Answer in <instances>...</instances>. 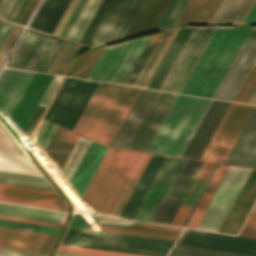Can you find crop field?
<instances>
[{
	"label": "crop field",
	"instance_id": "crop-field-71",
	"mask_svg": "<svg viewBox=\"0 0 256 256\" xmlns=\"http://www.w3.org/2000/svg\"><path fill=\"white\" fill-rule=\"evenodd\" d=\"M168 256H178V255H172V254H168Z\"/></svg>",
	"mask_w": 256,
	"mask_h": 256
},
{
	"label": "crop field",
	"instance_id": "crop-field-18",
	"mask_svg": "<svg viewBox=\"0 0 256 256\" xmlns=\"http://www.w3.org/2000/svg\"><path fill=\"white\" fill-rule=\"evenodd\" d=\"M230 103L213 100L182 157L199 160Z\"/></svg>",
	"mask_w": 256,
	"mask_h": 256
},
{
	"label": "crop field",
	"instance_id": "crop-field-60",
	"mask_svg": "<svg viewBox=\"0 0 256 256\" xmlns=\"http://www.w3.org/2000/svg\"><path fill=\"white\" fill-rule=\"evenodd\" d=\"M0 256H47V255L0 248Z\"/></svg>",
	"mask_w": 256,
	"mask_h": 256
},
{
	"label": "crop field",
	"instance_id": "crop-field-6",
	"mask_svg": "<svg viewBox=\"0 0 256 256\" xmlns=\"http://www.w3.org/2000/svg\"><path fill=\"white\" fill-rule=\"evenodd\" d=\"M145 0H102L79 43L89 47L121 39Z\"/></svg>",
	"mask_w": 256,
	"mask_h": 256
},
{
	"label": "crop field",
	"instance_id": "crop-field-16",
	"mask_svg": "<svg viewBox=\"0 0 256 256\" xmlns=\"http://www.w3.org/2000/svg\"><path fill=\"white\" fill-rule=\"evenodd\" d=\"M73 227L112 231L113 227L142 230L143 224L74 215ZM113 232L176 240L183 228L144 224L143 231L118 229Z\"/></svg>",
	"mask_w": 256,
	"mask_h": 256
},
{
	"label": "crop field",
	"instance_id": "crop-field-43",
	"mask_svg": "<svg viewBox=\"0 0 256 256\" xmlns=\"http://www.w3.org/2000/svg\"><path fill=\"white\" fill-rule=\"evenodd\" d=\"M62 79H63V77L55 76L53 82L51 83L48 91L46 92V94H45L44 98L42 99L39 106H42V107H45V108L48 107V105H49L52 97L54 96L57 88L59 87ZM39 106H38L37 110L35 111L33 117L31 118L29 124L27 125L25 131L23 132L24 135L27 137V139L30 136V134L32 133L33 129L35 128V126L39 122L42 114L45 111V108H42V107H39Z\"/></svg>",
	"mask_w": 256,
	"mask_h": 256
},
{
	"label": "crop field",
	"instance_id": "crop-field-21",
	"mask_svg": "<svg viewBox=\"0 0 256 256\" xmlns=\"http://www.w3.org/2000/svg\"><path fill=\"white\" fill-rule=\"evenodd\" d=\"M57 236L0 227V247L48 254Z\"/></svg>",
	"mask_w": 256,
	"mask_h": 256
},
{
	"label": "crop field",
	"instance_id": "crop-field-20",
	"mask_svg": "<svg viewBox=\"0 0 256 256\" xmlns=\"http://www.w3.org/2000/svg\"><path fill=\"white\" fill-rule=\"evenodd\" d=\"M54 76L34 73L11 113L13 120L24 130L36 106L40 103Z\"/></svg>",
	"mask_w": 256,
	"mask_h": 256
},
{
	"label": "crop field",
	"instance_id": "crop-field-48",
	"mask_svg": "<svg viewBox=\"0 0 256 256\" xmlns=\"http://www.w3.org/2000/svg\"><path fill=\"white\" fill-rule=\"evenodd\" d=\"M255 89H256V63L254 64L249 75L247 76L245 82L243 83L238 94L236 95L234 101L248 103Z\"/></svg>",
	"mask_w": 256,
	"mask_h": 256
},
{
	"label": "crop field",
	"instance_id": "crop-field-58",
	"mask_svg": "<svg viewBox=\"0 0 256 256\" xmlns=\"http://www.w3.org/2000/svg\"><path fill=\"white\" fill-rule=\"evenodd\" d=\"M0 151L18 154L15 151L9 136L4 131L1 125H0Z\"/></svg>",
	"mask_w": 256,
	"mask_h": 256
},
{
	"label": "crop field",
	"instance_id": "crop-field-35",
	"mask_svg": "<svg viewBox=\"0 0 256 256\" xmlns=\"http://www.w3.org/2000/svg\"><path fill=\"white\" fill-rule=\"evenodd\" d=\"M0 215L62 224L66 213L0 203Z\"/></svg>",
	"mask_w": 256,
	"mask_h": 256
},
{
	"label": "crop field",
	"instance_id": "crop-field-1",
	"mask_svg": "<svg viewBox=\"0 0 256 256\" xmlns=\"http://www.w3.org/2000/svg\"><path fill=\"white\" fill-rule=\"evenodd\" d=\"M140 90L99 83L73 132L110 146Z\"/></svg>",
	"mask_w": 256,
	"mask_h": 256
},
{
	"label": "crop field",
	"instance_id": "crop-field-25",
	"mask_svg": "<svg viewBox=\"0 0 256 256\" xmlns=\"http://www.w3.org/2000/svg\"><path fill=\"white\" fill-rule=\"evenodd\" d=\"M33 73L5 68L0 76V112L7 119Z\"/></svg>",
	"mask_w": 256,
	"mask_h": 256
},
{
	"label": "crop field",
	"instance_id": "crop-field-67",
	"mask_svg": "<svg viewBox=\"0 0 256 256\" xmlns=\"http://www.w3.org/2000/svg\"><path fill=\"white\" fill-rule=\"evenodd\" d=\"M249 103L250 104H256V90H255L253 96L251 97Z\"/></svg>",
	"mask_w": 256,
	"mask_h": 256
},
{
	"label": "crop field",
	"instance_id": "crop-field-12",
	"mask_svg": "<svg viewBox=\"0 0 256 256\" xmlns=\"http://www.w3.org/2000/svg\"><path fill=\"white\" fill-rule=\"evenodd\" d=\"M253 109L231 103L200 160L223 163Z\"/></svg>",
	"mask_w": 256,
	"mask_h": 256
},
{
	"label": "crop field",
	"instance_id": "crop-field-23",
	"mask_svg": "<svg viewBox=\"0 0 256 256\" xmlns=\"http://www.w3.org/2000/svg\"><path fill=\"white\" fill-rule=\"evenodd\" d=\"M224 163L256 168V107Z\"/></svg>",
	"mask_w": 256,
	"mask_h": 256
},
{
	"label": "crop field",
	"instance_id": "crop-field-72",
	"mask_svg": "<svg viewBox=\"0 0 256 256\" xmlns=\"http://www.w3.org/2000/svg\"><path fill=\"white\" fill-rule=\"evenodd\" d=\"M73 228V227H72ZM157 239V238H156ZM165 240V239H164ZM173 241V240H172Z\"/></svg>",
	"mask_w": 256,
	"mask_h": 256
},
{
	"label": "crop field",
	"instance_id": "crop-field-66",
	"mask_svg": "<svg viewBox=\"0 0 256 256\" xmlns=\"http://www.w3.org/2000/svg\"><path fill=\"white\" fill-rule=\"evenodd\" d=\"M244 23H256V3L245 19Z\"/></svg>",
	"mask_w": 256,
	"mask_h": 256
},
{
	"label": "crop field",
	"instance_id": "crop-field-32",
	"mask_svg": "<svg viewBox=\"0 0 256 256\" xmlns=\"http://www.w3.org/2000/svg\"><path fill=\"white\" fill-rule=\"evenodd\" d=\"M193 27H183L180 28L178 34L176 35L174 41L172 42L170 48L168 49L166 55L164 56L163 60L161 61L159 67L157 68L155 74L153 75L151 81L149 82L147 88L158 90L160 84L162 83L163 79L165 78L167 72L169 71L171 65L173 64L175 58L177 57L178 53L180 52L182 46L184 45L186 39L188 38L189 34L191 33ZM146 88V87H145Z\"/></svg>",
	"mask_w": 256,
	"mask_h": 256
},
{
	"label": "crop field",
	"instance_id": "crop-field-47",
	"mask_svg": "<svg viewBox=\"0 0 256 256\" xmlns=\"http://www.w3.org/2000/svg\"><path fill=\"white\" fill-rule=\"evenodd\" d=\"M58 252L68 253V254H76V255H84V256H144V255H136V254H128V253L64 246V245L60 246Z\"/></svg>",
	"mask_w": 256,
	"mask_h": 256
},
{
	"label": "crop field",
	"instance_id": "crop-field-24",
	"mask_svg": "<svg viewBox=\"0 0 256 256\" xmlns=\"http://www.w3.org/2000/svg\"><path fill=\"white\" fill-rule=\"evenodd\" d=\"M256 199V170H252L219 232L235 235Z\"/></svg>",
	"mask_w": 256,
	"mask_h": 256
},
{
	"label": "crop field",
	"instance_id": "crop-field-17",
	"mask_svg": "<svg viewBox=\"0 0 256 256\" xmlns=\"http://www.w3.org/2000/svg\"><path fill=\"white\" fill-rule=\"evenodd\" d=\"M177 243L256 255V240L185 229Z\"/></svg>",
	"mask_w": 256,
	"mask_h": 256
},
{
	"label": "crop field",
	"instance_id": "crop-field-45",
	"mask_svg": "<svg viewBox=\"0 0 256 256\" xmlns=\"http://www.w3.org/2000/svg\"><path fill=\"white\" fill-rule=\"evenodd\" d=\"M100 2H101V0H90L89 1L87 7L85 8L84 12L82 13L81 17L79 18L78 22L76 23L71 34L69 35V37H68L69 40L78 42L80 36L82 35L83 31L85 30L87 24L89 23L90 19L92 18L93 14L96 11L97 7L99 6Z\"/></svg>",
	"mask_w": 256,
	"mask_h": 256
},
{
	"label": "crop field",
	"instance_id": "crop-field-36",
	"mask_svg": "<svg viewBox=\"0 0 256 256\" xmlns=\"http://www.w3.org/2000/svg\"><path fill=\"white\" fill-rule=\"evenodd\" d=\"M256 0H224L211 23H243Z\"/></svg>",
	"mask_w": 256,
	"mask_h": 256
},
{
	"label": "crop field",
	"instance_id": "crop-field-5",
	"mask_svg": "<svg viewBox=\"0 0 256 256\" xmlns=\"http://www.w3.org/2000/svg\"><path fill=\"white\" fill-rule=\"evenodd\" d=\"M162 159L163 157L161 156L152 155L119 218L131 220L134 212L136 211L148 187L159 170L132 218V220L135 221L149 222L153 212L155 211L159 201L161 200L165 190L167 189L182 161V159L179 158L164 157L163 161Z\"/></svg>",
	"mask_w": 256,
	"mask_h": 256
},
{
	"label": "crop field",
	"instance_id": "crop-field-22",
	"mask_svg": "<svg viewBox=\"0 0 256 256\" xmlns=\"http://www.w3.org/2000/svg\"><path fill=\"white\" fill-rule=\"evenodd\" d=\"M78 135L57 127L40 163L55 181Z\"/></svg>",
	"mask_w": 256,
	"mask_h": 256
},
{
	"label": "crop field",
	"instance_id": "crop-field-68",
	"mask_svg": "<svg viewBox=\"0 0 256 256\" xmlns=\"http://www.w3.org/2000/svg\"><path fill=\"white\" fill-rule=\"evenodd\" d=\"M56 256H76V255H68V254H60V253H57Z\"/></svg>",
	"mask_w": 256,
	"mask_h": 256
},
{
	"label": "crop field",
	"instance_id": "crop-field-61",
	"mask_svg": "<svg viewBox=\"0 0 256 256\" xmlns=\"http://www.w3.org/2000/svg\"><path fill=\"white\" fill-rule=\"evenodd\" d=\"M0 219H6V220H12V221H18V222H25V223H31V224H38V225H44V226H51V227H57V228L61 227V225H59V224L39 222V221L13 218V217H6V216H0Z\"/></svg>",
	"mask_w": 256,
	"mask_h": 256
},
{
	"label": "crop field",
	"instance_id": "crop-field-51",
	"mask_svg": "<svg viewBox=\"0 0 256 256\" xmlns=\"http://www.w3.org/2000/svg\"><path fill=\"white\" fill-rule=\"evenodd\" d=\"M88 1L89 0H80L79 1L78 5L74 9L70 18L68 19L67 23L65 24L62 31L60 32L59 37L67 39L68 35L70 34L72 28L74 27L75 23L77 22L78 18L80 17L81 13L83 12Z\"/></svg>",
	"mask_w": 256,
	"mask_h": 256
},
{
	"label": "crop field",
	"instance_id": "crop-field-15",
	"mask_svg": "<svg viewBox=\"0 0 256 256\" xmlns=\"http://www.w3.org/2000/svg\"><path fill=\"white\" fill-rule=\"evenodd\" d=\"M256 61V27H252L213 98L233 101Z\"/></svg>",
	"mask_w": 256,
	"mask_h": 256
},
{
	"label": "crop field",
	"instance_id": "crop-field-28",
	"mask_svg": "<svg viewBox=\"0 0 256 256\" xmlns=\"http://www.w3.org/2000/svg\"><path fill=\"white\" fill-rule=\"evenodd\" d=\"M172 0H146L124 37L155 29Z\"/></svg>",
	"mask_w": 256,
	"mask_h": 256
},
{
	"label": "crop field",
	"instance_id": "crop-field-65",
	"mask_svg": "<svg viewBox=\"0 0 256 256\" xmlns=\"http://www.w3.org/2000/svg\"><path fill=\"white\" fill-rule=\"evenodd\" d=\"M11 26H12L11 23L4 22L2 28L0 29V45L3 42L8 31L10 30Z\"/></svg>",
	"mask_w": 256,
	"mask_h": 256
},
{
	"label": "crop field",
	"instance_id": "crop-field-8",
	"mask_svg": "<svg viewBox=\"0 0 256 256\" xmlns=\"http://www.w3.org/2000/svg\"><path fill=\"white\" fill-rule=\"evenodd\" d=\"M0 181L54 190L40 177L0 171ZM5 184H0V201L66 211L65 203L56 192Z\"/></svg>",
	"mask_w": 256,
	"mask_h": 256
},
{
	"label": "crop field",
	"instance_id": "crop-field-19",
	"mask_svg": "<svg viewBox=\"0 0 256 256\" xmlns=\"http://www.w3.org/2000/svg\"><path fill=\"white\" fill-rule=\"evenodd\" d=\"M176 95L159 92L128 149L145 152Z\"/></svg>",
	"mask_w": 256,
	"mask_h": 256
},
{
	"label": "crop field",
	"instance_id": "crop-field-62",
	"mask_svg": "<svg viewBox=\"0 0 256 256\" xmlns=\"http://www.w3.org/2000/svg\"><path fill=\"white\" fill-rule=\"evenodd\" d=\"M38 0H31L27 9L25 10L23 16L21 17L20 21H19V24L21 25H25V23L27 22V20L29 19L36 3H37ZM39 2V1H38Z\"/></svg>",
	"mask_w": 256,
	"mask_h": 256
},
{
	"label": "crop field",
	"instance_id": "crop-field-44",
	"mask_svg": "<svg viewBox=\"0 0 256 256\" xmlns=\"http://www.w3.org/2000/svg\"><path fill=\"white\" fill-rule=\"evenodd\" d=\"M170 253L184 255V256H250V255L204 249V248L185 246V245H179V244H175V246L170 251Z\"/></svg>",
	"mask_w": 256,
	"mask_h": 256
},
{
	"label": "crop field",
	"instance_id": "crop-field-31",
	"mask_svg": "<svg viewBox=\"0 0 256 256\" xmlns=\"http://www.w3.org/2000/svg\"><path fill=\"white\" fill-rule=\"evenodd\" d=\"M151 35L131 40L108 82L124 84Z\"/></svg>",
	"mask_w": 256,
	"mask_h": 256
},
{
	"label": "crop field",
	"instance_id": "crop-field-49",
	"mask_svg": "<svg viewBox=\"0 0 256 256\" xmlns=\"http://www.w3.org/2000/svg\"><path fill=\"white\" fill-rule=\"evenodd\" d=\"M189 0H174L158 28L174 25Z\"/></svg>",
	"mask_w": 256,
	"mask_h": 256
},
{
	"label": "crop field",
	"instance_id": "crop-field-10",
	"mask_svg": "<svg viewBox=\"0 0 256 256\" xmlns=\"http://www.w3.org/2000/svg\"><path fill=\"white\" fill-rule=\"evenodd\" d=\"M217 27H194L159 90L180 93Z\"/></svg>",
	"mask_w": 256,
	"mask_h": 256
},
{
	"label": "crop field",
	"instance_id": "crop-field-2",
	"mask_svg": "<svg viewBox=\"0 0 256 256\" xmlns=\"http://www.w3.org/2000/svg\"><path fill=\"white\" fill-rule=\"evenodd\" d=\"M251 27H218L181 93L212 98Z\"/></svg>",
	"mask_w": 256,
	"mask_h": 256
},
{
	"label": "crop field",
	"instance_id": "crop-field-11",
	"mask_svg": "<svg viewBox=\"0 0 256 256\" xmlns=\"http://www.w3.org/2000/svg\"><path fill=\"white\" fill-rule=\"evenodd\" d=\"M250 172V169L229 167L197 228L218 232Z\"/></svg>",
	"mask_w": 256,
	"mask_h": 256
},
{
	"label": "crop field",
	"instance_id": "crop-field-37",
	"mask_svg": "<svg viewBox=\"0 0 256 256\" xmlns=\"http://www.w3.org/2000/svg\"><path fill=\"white\" fill-rule=\"evenodd\" d=\"M227 168H228V166L218 165V167H217L213 177L211 178L206 190L204 191V193H203L200 201L198 202L193 214L191 215L186 227L196 228L201 216L203 215L208 203L210 202L214 192L216 191V189H217L221 179L223 178Z\"/></svg>",
	"mask_w": 256,
	"mask_h": 256
},
{
	"label": "crop field",
	"instance_id": "crop-field-39",
	"mask_svg": "<svg viewBox=\"0 0 256 256\" xmlns=\"http://www.w3.org/2000/svg\"><path fill=\"white\" fill-rule=\"evenodd\" d=\"M0 170L41 176L27 156L0 152Z\"/></svg>",
	"mask_w": 256,
	"mask_h": 256
},
{
	"label": "crop field",
	"instance_id": "crop-field-9",
	"mask_svg": "<svg viewBox=\"0 0 256 256\" xmlns=\"http://www.w3.org/2000/svg\"><path fill=\"white\" fill-rule=\"evenodd\" d=\"M98 83L67 78L45 120L72 131Z\"/></svg>",
	"mask_w": 256,
	"mask_h": 256
},
{
	"label": "crop field",
	"instance_id": "crop-field-3",
	"mask_svg": "<svg viewBox=\"0 0 256 256\" xmlns=\"http://www.w3.org/2000/svg\"><path fill=\"white\" fill-rule=\"evenodd\" d=\"M140 155L109 149L76 213L108 217Z\"/></svg>",
	"mask_w": 256,
	"mask_h": 256
},
{
	"label": "crop field",
	"instance_id": "crop-field-33",
	"mask_svg": "<svg viewBox=\"0 0 256 256\" xmlns=\"http://www.w3.org/2000/svg\"><path fill=\"white\" fill-rule=\"evenodd\" d=\"M130 41L105 47L88 79L107 82Z\"/></svg>",
	"mask_w": 256,
	"mask_h": 256
},
{
	"label": "crop field",
	"instance_id": "crop-field-42",
	"mask_svg": "<svg viewBox=\"0 0 256 256\" xmlns=\"http://www.w3.org/2000/svg\"><path fill=\"white\" fill-rule=\"evenodd\" d=\"M90 140L79 136L74 148L72 149L67 161L65 162L60 176L68 184L72 174L74 173L78 163L80 162L84 152L86 151Z\"/></svg>",
	"mask_w": 256,
	"mask_h": 256
},
{
	"label": "crop field",
	"instance_id": "crop-field-55",
	"mask_svg": "<svg viewBox=\"0 0 256 256\" xmlns=\"http://www.w3.org/2000/svg\"><path fill=\"white\" fill-rule=\"evenodd\" d=\"M150 157H151V155H150V154H147V156H146V158H145L143 164L141 165V167H140L138 173L136 174V176H135V178H134L132 184L130 185V187H129L127 193H126V195L124 196V198H123L121 204L119 205V207H118V209H117V211H116V213H115L116 216H119V214H120V212H121L123 206L125 205V203H126L128 197L130 196V194H131V192H132L134 186L136 185V183H137V181H138L140 175L142 174V172H143L145 166L147 165V163H148Z\"/></svg>",
	"mask_w": 256,
	"mask_h": 256
},
{
	"label": "crop field",
	"instance_id": "crop-field-69",
	"mask_svg": "<svg viewBox=\"0 0 256 256\" xmlns=\"http://www.w3.org/2000/svg\"><path fill=\"white\" fill-rule=\"evenodd\" d=\"M251 214L256 215V204H255V206H254V208H253Z\"/></svg>",
	"mask_w": 256,
	"mask_h": 256
},
{
	"label": "crop field",
	"instance_id": "crop-field-34",
	"mask_svg": "<svg viewBox=\"0 0 256 256\" xmlns=\"http://www.w3.org/2000/svg\"><path fill=\"white\" fill-rule=\"evenodd\" d=\"M223 0H190L176 24L210 23Z\"/></svg>",
	"mask_w": 256,
	"mask_h": 256
},
{
	"label": "crop field",
	"instance_id": "crop-field-70",
	"mask_svg": "<svg viewBox=\"0 0 256 256\" xmlns=\"http://www.w3.org/2000/svg\"><path fill=\"white\" fill-rule=\"evenodd\" d=\"M2 24H3V21H0V28H1Z\"/></svg>",
	"mask_w": 256,
	"mask_h": 256
},
{
	"label": "crop field",
	"instance_id": "crop-field-26",
	"mask_svg": "<svg viewBox=\"0 0 256 256\" xmlns=\"http://www.w3.org/2000/svg\"><path fill=\"white\" fill-rule=\"evenodd\" d=\"M158 92L142 90L111 147L127 149Z\"/></svg>",
	"mask_w": 256,
	"mask_h": 256
},
{
	"label": "crop field",
	"instance_id": "crop-field-63",
	"mask_svg": "<svg viewBox=\"0 0 256 256\" xmlns=\"http://www.w3.org/2000/svg\"><path fill=\"white\" fill-rule=\"evenodd\" d=\"M15 0H2L0 3V18L5 19Z\"/></svg>",
	"mask_w": 256,
	"mask_h": 256
},
{
	"label": "crop field",
	"instance_id": "crop-field-73",
	"mask_svg": "<svg viewBox=\"0 0 256 256\" xmlns=\"http://www.w3.org/2000/svg\"><path fill=\"white\" fill-rule=\"evenodd\" d=\"M1 1V0H0Z\"/></svg>",
	"mask_w": 256,
	"mask_h": 256
},
{
	"label": "crop field",
	"instance_id": "crop-field-38",
	"mask_svg": "<svg viewBox=\"0 0 256 256\" xmlns=\"http://www.w3.org/2000/svg\"><path fill=\"white\" fill-rule=\"evenodd\" d=\"M214 164L204 163L199 175L197 176L192 188L184 200L179 212L177 213L172 225L182 226L187 214L189 213L194 201L202 189L207 177L209 176Z\"/></svg>",
	"mask_w": 256,
	"mask_h": 256
},
{
	"label": "crop field",
	"instance_id": "crop-field-53",
	"mask_svg": "<svg viewBox=\"0 0 256 256\" xmlns=\"http://www.w3.org/2000/svg\"><path fill=\"white\" fill-rule=\"evenodd\" d=\"M55 129H56V126L49 124L45 121H43L42 125L40 126L34 138L39 143V145L43 148V150H45Z\"/></svg>",
	"mask_w": 256,
	"mask_h": 256
},
{
	"label": "crop field",
	"instance_id": "crop-field-41",
	"mask_svg": "<svg viewBox=\"0 0 256 256\" xmlns=\"http://www.w3.org/2000/svg\"><path fill=\"white\" fill-rule=\"evenodd\" d=\"M40 35V32L27 29L23 39L21 40L17 50L7 66L23 69Z\"/></svg>",
	"mask_w": 256,
	"mask_h": 256
},
{
	"label": "crop field",
	"instance_id": "crop-field-54",
	"mask_svg": "<svg viewBox=\"0 0 256 256\" xmlns=\"http://www.w3.org/2000/svg\"><path fill=\"white\" fill-rule=\"evenodd\" d=\"M30 0H16L5 20L18 23Z\"/></svg>",
	"mask_w": 256,
	"mask_h": 256
},
{
	"label": "crop field",
	"instance_id": "crop-field-50",
	"mask_svg": "<svg viewBox=\"0 0 256 256\" xmlns=\"http://www.w3.org/2000/svg\"><path fill=\"white\" fill-rule=\"evenodd\" d=\"M0 226L57 235L60 229L0 220Z\"/></svg>",
	"mask_w": 256,
	"mask_h": 256
},
{
	"label": "crop field",
	"instance_id": "crop-field-27",
	"mask_svg": "<svg viewBox=\"0 0 256 256\" xmlns=\"http://www.w3.org/2000/svg\"><path fill=\"white\" fill-rule=\"evenodd\" d=\"M106 150V147L91 141L69 184L79 196L82 197Z\"/></svg>",
	"mask_w": 256,
	"mask_h": 256
},
{
	"label": "crop field",
	"instance_id": "crop-field-64",
	"mask_svg": "<svg viewBox=\"0 0 256 256\" xmlns=\"http://www.w3.org/2000/svg\"><path fill=\"white\" fill-rule=\"evenodd\" d=\"M216 167H217V164H215V166H214V168H213V170H212V172H211L210 176L208 177V179H207V181H206V183H205V185H204L203 189L201 190V192H200V194H199V196H198L197 200L195 201V203H194V205H193V207H192V209H191L190 213L188 214V216H187V218H186V220H185V222H184V224H183V227H185V225H186V223H187V221H188V219H189L190 215L192 214V212H193V210H194V208H195V206H196L197 202L199 201V199H200V197H201V195H202L203 191L205 190V188H206V186H207V184H208V182H209L210 178L212 177V175H213V173H214V171H215Z\"/></svg>",
	"mask_w": 256,
	"mask_h": 256
},
{
	"label": "crop field",
	"instance_id": "crop-field-56",
	"mask_svg": "<svg viewBox=\"0 0 256 256\" xmlns=\"http://www.w3.org/2000/svg\"><path fill=\"white\" fill-rule=\"evenodd\" d=\"M239 236L256 239V216L249 215L245 225L243 226Z\"/></svg>",
	"mask_w": 256,
	"mask_h": 256
},
{
	"label": "crop field",
	"instance_id": "crop-field-14",
	"mask_svg": "<svg viewBox=\"0 0 256 256\" xmlns=\"http://www.w3.org/2000/svg\"><path fill=\"white\" fill-rule=\"evenodd\" d=\"M179 28L152 34L125 84L145 88Z\"/></svg>",
	"mask_w": 256,
	"mask_h": 256
},
{
	"label": "crop field",
	"instance_id": "crop-field-7",
	"mask_svg": "<svg viewBox=\"0 0 256 256\" xmlns=\"http://www.w3.org/2000/svg\"><path fill=\"white\" fill-rule=\"evenodd\" d=\"M62 244L165 256L174 242L69 228Z\"/></svg>",
	"mask_w": 256,
	"mask_h": 256
},
{
	"label": "crop field",
	"instance_id": "crop-field-59",
	"mask_svg": "<svg viewBox=\"0 0 256 256\" xmlns=\"http://www.w3.org/2000/svg\"><path fill=\"white\" fill-rule=\"evenodd\" d=\"M79 0H72L69 7L67 8L66 12L64 13L62 19L60 20L59 24L57 25L56 29L53 32V35L58 36L59 32L61 31L62 27L66 23L67 19L69 18L70 14L72 13L73 9L75 8L76 4Z\"/></svg>",
	"mask_w": 256,
	"mask_h": 256
},
{
	"label": "crop field",
	"instance_id": "crop-field-46",
	"mask_svg": "<svg viewBox=\"0 0 256 256\" xmlns=\"http://www.w3.org/2000/svg\"><path fill=\"white\" fill-rule=\"evenodd\" d=\"M103 49H104V47L100 48L94 52H91L88 55H86L84 58H82L78 62L77 66L75 65L76 67L70 76L87 79L89 73L91 72L93 66L95 65L96 61L98 60Z\"/></svg>",
	"mask_w": 256,
	"mask_h": 256
},
{
	"label": "crop field",
	"instance_id": "crop-field-4",
	"mask_svg": "<svg viewBox=\"0 0 256 256\" xmlns=\"http://www.w3.org/2000/svg\"><path fill=\"white\" fill-rule=\"evenodd\" d=\"M211 102L177 95L146 152L181 157Z\"/></svg>",
	"mask_w": 256,
	"mask_h": 256
},
{
	"label": "crop field",
	"instance_id": "crop-field-57",
	"mask_svg": "<svg viewBox=\"0 0 256 256\" xmlns=\"http://www.w3.org/2000/svg\"><path fill=\"white\" fill-rule=\"evenodd\" d=\"M145 156H146V154H145V153H142V155H141V157H140V159H139L137 165L135 166V168H134V170H133V172H132L130 178L128 179V181H127V183H126V185H125L123 191L121 192V194H120V196H119V198H118L116 204L114 205V207H113V209H112V211H111V213H110L111 215H114V213H115V211H116L118 205L120 204V202H121L123 196L125 195V193H126L128 187H129V185L131 184V182H132V180H133L135 174L137 173V171H138L140 165L142 164V162H143Z\"/></svg>",
	"mask_w": 256,
	"mask_h": 256
},
{
	"label": "crop field",
	"instance_id": "crop-field-40",
	"mask_svg": "<svg viewBox=\"0 0 256 256\" xmlns=\"http://www.w3.org/2000/svg\"><path fill=\"white\" fill-rule=\"evenodd\" d=\"M82 45L64 40L48 72L64 75L71 62L77 58Z\"/></svg>",
	"mask_w": 256,
	"mask_h": 256
},
{
	"label": "crop field",
	"instance_id": "crop-field-13",
	"mask_svg": "<svg viewBox=\"0 0 256 256\" xmlns=\"http://www.w3.org/2000/svg\"><path fill=\"white\" fill-rule=\"evenodd\" d=\"M202 165L183 159L150 222L171 225Z\"/></svg>",
	"mask_w": 256,
	"mask_h": 256
},
{
	"label": "crop field",
	"instance_id": "crop-field-52",
	"mask_svg": "<svg viewBox=\"0 0 256 256\" xmlns=\"http://www.w3.org/2000/svg\"><path fill=\"white\" fill-rule=\"evenodd\" d=\"M22 27L13 24L11 30L9 31L8 35L6 36L4 42L0 47V67L6 58L9 50L11 49L12 45L14 44L16 38L18 37L19 33L21 32Z\"/></svg>",
	"mask_w": 256,
	"mask_h": 256
},
{
	"label": "crop field",
	"instance_id": "crop-field-29",
	"mask_svg": "<svg viewBox=\"0 0 256 256\" xmlns=\"http://www.w3.org/2000/svg\"><path fill=\"white\" fill-rule=\"evenodd\" d=\"M62 42L63 39L42 33L24 69L47 72Z\"/></svg>",
	"mask_w": 256,
	"mask_h": 256
},
{
	"label": "crop field",
	"instance_id": "crop-field-30",
	"mask_svg": "<svg viewBox=\"0 0 256 256\" xmlns=\"http://www.w3.org/2000/svg\"><path fill=\"white\" fill-rule=\"evenodd\" d=\"M71 0H44L29 28L52 34Z\"/></svg>",
	"mask_w": 256,
	"mask_h": 256
}]
</instances>
